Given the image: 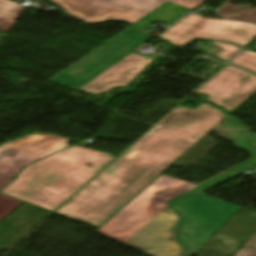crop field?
Returning <instances> with one entry per match:
<instances>
[{"mask_svg":"<svg viewBox=\"0 0 256 256\" xmlns=\"http://www.w3.org/2000/svg\"><path fill=\"white\" fill-rule=\"evenodd\" d=\"M190 10L191 9L179 7L177 5L166 2L159 8L155 9L151 13L147 14L132 24V26L140 30H144L156 20L170 25Z\"/></svg>","mask_w":256,"mask_h":256,"instance_id":"obj_11","label":"crop field"},{"mask_svg":"<svg viewBox=\"0 0 256 256\" xmlns=\"http://www.w3.org/2000/svg\"><path fill=\"white\" fill-rule=\"evenodd\" d=\"M68 141L52 135L32 134L0 146V189L25 165L70 146ZM22 203L0 194V221Z\"/></svg>","mask_w":256,"mask_h":256,"instance_id":"obj_7","label":"crop field"},{"mask_svg":"<svg viewBox=\"0 0 256 256\" xmlns=\"http://www.w3.org/2000/svg\"><path fill=\"white\" fill-rule=\"evenodd\" d=\"M231 63L256 72V53L245 49Z\"/></svg>","mask_w":256,"mask_h":256,"instance_id":"obj_13","label":"crop field"},{"mask_svg":"<svg viewBox=\"0 0 256 256\" xmlns=\"http://www.w3.org/2000/svg\"><path fill=\"white\" fill-rule=\"evenodd\" d=\"M256 36V25L240 21L206 19L189 14L158 34L170 45L182 47L194 39H218L244 46Z\"/></svg>","mask_w":256,"mask_h":256,"instance_id":"obj_8","label":"crop field"},{"mask_svg":"<svg viewBox=\"0 0 256 256\" xmlns=\"http://www.w3.org/2000/svg\"><path fill=\"white\" fill-rule=\"evenodd\" d=\"M70 16L87 24L121 21L132 24L169 1L195 8L206 0H51Z\"/></svg>","mask_w":256,"mask_h":256,"instance_id":"obj_6","label":"crop field"},{"mask_svg":"<svg viewBox=\"0 0 256 256\" xmlns=\"http://www.w3.org/2000/svg\"><path fill=\"white\" fill-rule=\"evenodd\" d=\"M194 186L160 175L96 232L153 256H187L174 241L178 218L165 201Z\"/></svg>","mask_w":256,"mask_h":256,"instance_id":"obj_2","label":"crop field"},{"mask_svg":"<svg viewBox=\"0 0 256 256\" xmlns=\"http://www.w3.org/2000/svg\"><path fill=\"white\" fill-rule=\"evenodd\" d=\"M151 38L129 27L50 78L49 81L77 89Z\"/></svg>","mask_w":256,"mask_h":256,"instance_id":"obj_5","label":"crop field"},{"mask_svg":"<svg viewBox=\"0 0 256 256\" xmlns=\"http://www.w3.org/2000/svg\"><path fill=\"white\" fill-rule=\"evenodd\" d=\"M256 91V75L227 64L196 93L209 96L205 102L230 114Z\"/></svg>","mask_w":256,"mask_h":256,"instance_id":"obj_9","label":"crop field"},{"mask_svg":"<svg viewBox=\"0 0 256 256\" xmlns=\"http://www.w3.org/2000/svg\"><path fill=\"white\" fill-rule=\"evenodd\" d=\"M206 42L223 48L222 50L213 54V56L219 59H223L225 61H227L229 58H231L234 54H236L241 49L229 42H221V41H206Z\"/></svg>","mask_w":256,"mask_h":256,"instance_id":"obj_14","label":"crop field"},{"mask_svg":"<svg viewBox=\"0 0 256 256\" xmlns=\"http://www.w3.org/2000/svg\"><path fill=\"white\" fill-rule=\"evenodd\" d=\"M24 8L11 1L0 0V30L6 32Z\"/></svg>","mask_w":256,"mask_h":256,"instance_id":"obj_12","label":"crop field"},{"mask_svg":"<svg viewBox=\"0 0 256 256\" xmlns=\"http://www.w3.org/2000/svg\"><path fill=\"white\" fill-rule=\"evenodd\" d=\"M169 204L182 218L178 241L191 255L240 208L202 194L187 193Z\"/></svg>","mask_w":256,"mask_h":256,"instance_id":"obj_4","label":"crop field"},{"mask_svg":"<svg viewBox=\"0 0 256 256\" xmlns=\"http://www.w3.org/2000/svg\"><path fill=\"white\" fill-rule=\"evenodd\" d=\"M235 256H256V248L243 246Z\"/></svg>","mask_w":256,"mask_h":256,"instance_id":"obj_17","label":"crop field"},{"mask_svg":"<svg viewBox=\"0 0 256 256\" xmlns=\"http://www.w3.org/2000/svg\"><path fill=\"white\" fill-rule=\"evenodd\" d=\"M152 61L151 58L132 52L78 90L95 95L113 87L127 86Z\"/></svg>","mask_w":256,"mask_h":256,"instance_id":"obj_10","label":"crop field"},{"mask_svg":"<svg viewBox=\"0 0 256 256\" xmlns=\"http://www.w3.org/2000/svg\"><path fill=\"white\" fill-rule=\"evenodd\" d=\"M226 116L177 106L56 212L99 228Z\"/></svg>","mask_w":256,"mask_h":256,"instance_id":"obj_1","label":"crop field"},{"mask_svg":"<svg viewBox=\"0 0 256 256\" xmlns=\"http://www.w3.org/2000/svg\"><path fill=\"white\" fill-rule=\"evenodd\" d=\"M235 175H237V174H234V173L223 174L215 179H212V180L192 189V191L202 193L203 191H205V190H207V189H209V188H211V187H213V186H215V185H217Z\"/></svg>","mask_w":256,"mask_h":256,"instance_id":"obj_15","label":"crop field"},{"mask_svg":"<svg viewBox=\"0 0 256 256\" xmlns=\"http://www.w3.org/2000/svg\"><path fill=\"white\" fill-rule=\"evenodd\" d=\"M115 157L73 146L26 166L0 193L53 212Z\"/></svg>","mask_w":256,"mask_h":256,"instance_id":"obj_3","label":"crop field"},{"mask_svg":"<svg viewBox=\"0 0 256 256\" xmlns=\"http://www.w3.org/2000/svg\"><path fill=\"white\" fill-rule=\"evenodd\" d=\"M254 165H256V157H254V158H252V159H250L248 161H245V162H243V163L233 167L232 169H230V170H228L226 172L241 173L244 170H246V169H248V168H250V167H252Z\"/></svg>","mask_w":256,"mask_h":256,"instance_id":"obj_16","label":"crop field"}]
</instances>
